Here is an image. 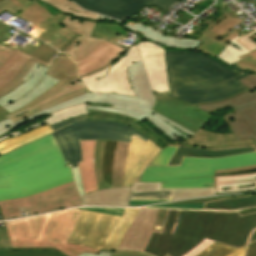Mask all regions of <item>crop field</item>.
Instances as JSON below:
<instances>
[{"instance_id": "8a807250", "label": "crop field", "mask_w": 256, "mask_h": 256, "mask_svg": "<svg viewBox=\"0 0 256 256\" xmlns=\"http://www.w3.org/2000/svg\"><path fill=\"white\" fill-rule=\"evenodd\" d=\"M153 111L194 132L185 142L172 143L208 149H226L253 145L256 148V93L247 89L228 98L189 105L163 94H156ZM230 106L232 111L223 118L234 134H216L200 130L210 118L207 112ZM191 143V144H190ZM256 169V165L216 171L226 174Z\"/></svg>"}, {"instance_id": "ac0d7876", "label": "crop field", "mask_w": 256, "mask_h": 256, "mask_svg": "<svg viewBox=\"0 0 256 256\" xmlns=\"http://www.w3.org/2000/svg\"><path fill=\"white\" fill-rule=\"evenodd\" d=\"M256 228V213L169 210L162 233L153 232L143 252L184 256L205 238L241 248Z\"/></svg>"}, {"instance_id": "34b2d1b8", "label": "crop field", "mask_w": 256, "mask_h": 256, "mask_svg": "<svg viewBox=\"0 0 256 256\" xmlns=\"http://www.w3.org/2000/svg\"><path fill=\"white\" fill-rule=\"evenodd\" d=\"M52 134L0 157V201L73 182Z\"/></svg>"}, {"instance_id": "412701ff", "label": "crop field", "mask_w": 256, "mask_h": 256, "mask_svg": "<svg viewBox=\"0 0 256 256\" xmlns=\"http://www.w3.org/2000/svg\"><path fill=\"white\" fill-rule=\"evenodd\" d=\"M168 96L189 104L231 96L246 88L236 81L251 74L200 53L166 49Z\"/></svg>"}, {"instance_id": "f4fd0767", "label": "crop field", "mask_w": 256, "mask_h": 256, "mask_svg": "<svg viewBox=\"0 0 256 256\" xmlns=\"http://www.w3.org/2000/svg\"><path fill=\"white\" fill-rule=\"evenodd\" d=\"M128 71L130 85L136 97L117 93H86L80 97L68 100L58 106L31 116L21 122L13 120L2 121L0 122V135L34 118L87 102H90V104L87 105L88 110L120 113L133 117L138 121L146 118L174 142L178 141L174 138V134L179 137L183 136L185 138L194 134L162 117L161 115L151 111L155 104V97L153 96V92L150 88L142 59L128 66Z\"/></svg>"}, {"instance_id": "dd49c442", "label": "crop field", "mask_w": 256, "mask_h": 256, "mask_svg": "<svg viewBox=\"0 0 256 256\" xmlns=\"http://www.w3.org/2000/svg\"><path fill=\"white\" fill-rule=\"evenodd\" d=\"M81 210L72 209L26 220L5 223L0 230V248L12 250L54 249L63 256L99 250L66 243Z\"/></svg>"}, {"instance_id": "e52e79f7", "label": "crop field", "mask_w": 256, "mask_h": 256, "mask_svg": "<svg viewBox=\"0 0 256 256\" xmlns=\"http://www.w3.org/2000/svg\"><path fill=\"white\" fill-rule=\"evenodd\" d=\"M256 164V152L220 159L183 158L178 167H146L141 182H162L167 188H213V170Z\"/></svg>"}, {"instance_id": "d8731c3e", "label": "crop field", "mask_w": 256, "mask_h": 256, "mask_svg": "<svg viewBox=\"0 0 256 256\" xmlns=\"http://www.w3.org/2000/svg\"><path fill=\"white\" fill-rule=\"evenodd\" d=\"M137 211L125 209L121 217L82 211L68 242L116 250Z\"/></svg>"}, {"instance_id": "5a996713", "label": "crop field", "mask_w": 256, "mask_h": 256, "mask_svg": "<svg viewBox=\"0 0 256 256\" xmlns=\"http://www.w3.org/2000/svg\"><path fill=\"white\" fill-rule=\"evenodd\" d=\"M47 74L61 81L38 96L32 103L5 116L7 119L21 121L49 107L87 92L76 75V64L62 54L51 65Z\"/></svg>"}, {"instance_id": "3316defc", "label": "crop field", "mask_w": 256, "mask_h": 256, "mask_svg": "<svg viewBox=\"0 0 256 256\" xmlns=\"http://www.w3.org/2000/svg\"><path fill=\"white\" fill-rule=\"evenodd\" d=\"M79 205L83 204L73 182L27 198L2 201L0 211L4 219H11L21 217L24 211L35 215Z\"/></svg>"}, {"instance_id": "28ad6ade", "label": "crop field", "mask_w": 256, "mask_h": 256, "mask_svg": "<svg viewBox=\"0 0 256 256\" xmlns=\"http://www.w3.org/2000/svg\"><path fill=\"white\" fill-rule=\"evenodd\" d=\"M138 59L140 56L133 45L106 69L80 80L89 92H117L135 96L129 85L127 66Z\"/></svg>"}, {"instance_id": "d1516ede", "label": "crop field", "mask_w": 256, "mask_h": 256, "mask_svg": "<svg viewBox=\"0 0 256 256\" xmlns=\"http://www.w3.org/2000/svg\"><path fill=\"white\" fill-rule=\"evenodd\" d=\"M84 9L94 11L123 22L133 16L144 6L156 5L161 10H166L177 0H73ZM127 8V9H125Z\"/></svg>"}, {"instance_id": "22f410ed", "label": "crop field", "mask_w": 256, "mask_h": 256, "mask_svg": "<svg viewBox=\"0 0 256 256\" xmlns=\"http://www.w3.org/2000/svg\"><path fill=\"white\" fill-rule=\"evenodd\" d=\"M18 16L31 21L34 25L52 32L61 23L68 30L89 37L96 21L80 20L70 15L57 13L51 15L39 4H34Z\"/></svg>"}, {"instance_id": "cbeb9de0", "label": "crop field", "mask_w": 256, "mask_h": 256, "mask_svg": "<svg viewBox=\"0 0 256 256\" xmlns=\"http://www.w3.org/2000/svg\"><path fill=\"white\" fill-rule=\"evenodd\" d=\"M79 140L110 139L130 143L132 135L144 142L147 139L133 128L110 121H81L71 124Z\"/></svg>"}, {"instance_id": "5142ce71", "label": "crop field", "mask_w": 256, "mask_h": 256, "mask_svg": "<svg viewBox=\"0 0 256 256\" xmlns=\"http://www.w3.org/2000/svg\"><path fill=\"white\" fill-rule=\"evenodd\" d=\"M136 46L143 58L152 90L158 93L169 91L165 71V48L146 40Z\"/></svg>"}, {"instance_id": "d9b57169", "label": "crop field", "mask_w": 256, "mask_h": 256, "mask_svg": "<svg viewBox=\"0 0 256 256\" xmlns=\"http://www.w3.org/2000/svg\"><path fill=\"white\" fill-rule=\"evenodd\" d=\"M158 209H140L118 250L142 251L152 233Z\"/></svg>"}, {"instance_id": "733c2abd", "label": "crop field", "mask_w": 256, "mask_h": 256, "mask_svg": "<svg viewBox=\"0 0 256 256\" xmlns=\"http://www.w3.org/2000/svg\"><path fill=\"white\" fill-rule=\"evenodd\" d=\"M160 150L150 141L144 143L133 137L127 159L123 186H131L133 181Z\"/></svg>"}, {"instance_id": "4a817a6b", "label": "crop field", "mask_w": 256, "mask_h": 256, "mask_svg": "<svg viewBox=\"0 0 256 256\" xmlns=\"http://www.w3.org/2000/svg\"><path fill=\"white\" fill-rule=\"evenodd\" d=\"M123 52L124 49L103 40L87 57L76 62L78 65L79 78L102 70L110 65Z\"/></svg>"}, {"instance_id": "bc2a9ffb", "label": "crop field", "mask_w": 256, "mask_h": 256, "mask_svg": "<svg viewBox=\"0 0 256 256\" xmlns=\"http://www.w3.org/2000/svg\"><path fill=\"white\" fill-rule=\"evenodd\" d=\"M247 18H245V19H247ZM244 20L241 21L231 14L225 20H223L220 24L213 27L210 31H208L203 36H200L198 38V40H203L204 42L200 45V47L196 50V52L203 53L212 58L217 57L219 55V53L228 44L219 42L216 39L219 38L220 36H222L223 34H225L226 32L230 31L233 27L239 25Z\"/></svg>"}, {"instance_id": "214f88e0", "label": "crop field", "mask_w": 256, "mask_h": 256, "mask_svg": "<svg viewBox=\"0 0 256 256\" xmlns=\"http://www.w3.org/2000/svg\"><path fill=\"white\" fill-rule=\"evenodd\" d=\"M176 146V145H169ZM253 146L249 147H239L227 150L213 151L208 149L190 147V146H178L173 153L167 166H177L180 165L182 157H198V158H220L233 156L238 154H244L249 152H255Z\"/></svg>"}, {"instance_id": "92a150f3", "label": "crop field", "mask_w": 256, "mask_h": 256, "mask_svg": "<svg viewBox=\"0 0 256 256\" xmlns=\"http://www.w3.org/2000/svg\"><path fill=\"white\" fill-rule=\"evenodd\" d=\"M126 23L136 28L137 29L136 33L142 34L143 39H147L149 41L162 44L165 48L180 49V50L195 52L198 46L203 42V41L191 40L186 38H184L183 41H181L176 38L161 34L160 32L152 28H149L148 26L145 27L130 19ZM145 28H147V30H145Z\"/></svg>"}, {"instance_id": "dafd665d", "label": "crop field", "mask_w": 256, "mask_h": 256, "mask_svg": "<svg viewBox=\"0 0 256 256\" xmlns=\"http://www.w3.org/2000/svg\"><path fill=\"white\" fill-rule=\"evenodd\" d=\"M65 161L71 162L75 177H80L77 162H81L79 141L71 125L53 133Z\"/></svg>"}, {"instance_id": "00972430", "label": "crop field", "mask_w": 256, "mask_h": 256, "mask_svg": "<svg viewBox=\"0 0 256 256\" xmlns=\"http://www.w3.org/2000/svg\"><path fill=\"white\" fill-rule=\"evenodd\" d=\"M135 31L134 28L119 22L117 20L101 16L97 21L94 31L91 35L93 38L105 39L113 44H115L119 39H128V32ZM118 45V44H116ZM124 49L121 45H118Z\"/></svg>"}, {"instance_id": "a9b5d70f", "label": "crop field", "mask_w": 256, "mask_h": 256, "mask_svg": "<svg viewBox=\"0 0 256 256\" xmlns=\"http://www.w3.org/2000/svg\"><path fill=\"white\" fill-rule=\"evenodd\" d=\"M215 185L217 194L254 190L256 188V173L216 177Z\"/></svg>"}, {"instance_id": "4177f3b9", "label": "crop field", "mask_w": 256, "mask_h": 256, "mask_svg": "<svg viewBox=\"0 0 256 256\" xmlns=\"http://www.w3.org/2000/svg\"><path fill=\"white\" fill-rule=\"evenodd\" d=\"M80 145L82 151V163L78 164L84 192L86 194L88 192L98 190L93 164L95 141H80Z\"/></svg>"}, {"instance_id": "730fd06b", "label": "crop field", "mask_w": 256, "mask_h": 256, "mask_svg": "<svg viewBox=\"0 0 256 256\" xmlns=\"http://www.w3.org/2000/svg\"><path fill=\"white\" fill-rule=\"evenodd\" d=\"M130 188H115L82 196L85 205H127Z\"/></svg>"}, {"instance_id": "eef30255", "label": "crop field", "mask_w": 256, "mask_h": 256, "mask_svg": "<svg viewBox=\"0 0 256 256\" xmlns=\"http://www.w3.org/2000/svg\"><path fill=\"white\" fill-rule=\"evenodd\" d=\"M156 191H171L172 200L216 195L214 189H168L161 190V183L135 182L131 194Z\"/></svg>"}, {"instance_id": "ae1a2a85", "label": "crop field", "mask_w": 256, "mask_h": 256, "mask_svg": "<svg viewBox=\"0 0 256 256\" xmlns=\"http://www.w3.org/2000/svg\"><path fill=\"white\" fill-rule=\"evenodd\" d=\"M48 68L43 67L39 64L34 63L23 80L26 82L22 83L17 89L8 93L4 97L0 98V105L3 107L6 104L20 98L22 95L31 90L46 74Z\"/></svg>"}, {"instance_id": "d3111659", "label": "crop field", "mask_w": 256, "mask_h": 256, "mask_svg": "<svg viewBox=\"0 0 256 256\" xmlns=\"http://www.w3.org/2000/svg\"><path fill=\"white\" fill-rule=\"evenodd\" d=\"M16 48L46 63H48L53 53H55L56 51L44 43L37 48L29 44L21 48L17 45L14 47L0 40V67L16 51Z\"/></svg>"}, {"instance_id": "750c4746", "label": "crop field", "mask_w": 256, "mask_h": 256, "mask_svg": "<svg viewBox=\"0 0 256 256\" xmlns=\"http://www.w3.org/2000/svg\"><path fill=\"white\" fill-rule=\"evenodd\" d=\"M51 115L52 116L50 118H48L44 121L32 124V125H29V126L23 128V129L15 132V133H6V134L0 136V141L3 140V139L9 138L11 136H13V138H14V137L26 132V131H29L33 128L39 127V126L44 125L46 123L50 126L54 123H59L63 120H66V119H69V118H72V117H75V116H78V115H88V113H87L86 104H84V105L68 108V109L53 113Z\"/></svg>"}, {"instance_id": "bd1437ed", "label": "crop field", "mask_w": 256, "mask_h": 256, "mask_svg": "<svg viewBox=\"0 0 256 256\" xmlns=\"http://www.w3.org/2000/svg\"><path fill=\"white\" fill-rule=\"evenodd\" d=\"M80 39L81 36L68 31L60 25L44 42L68 55L77 46Z\"/></svg>"}, {"instance_id": "1d83c4d3", "label": "crop field", "mask_w": 256, "mask_h": 256, "mask_svg": "<svg viewBox=\"0 0 256 256\" xmlns=\"http://www.w3.org/2000/svg\"><path fill=\"white\" fill-rule=\"evenodd\" d=\"M30 59L36 60L49 66V64H46L17 50L0 68V88L11 81Z\"/></svg>"}, {"instance_id": "120bbe31", "label": "crop field", "mask_w": 256, "mask_h": 256, "mask_svg": "<svg viewBox=\"0 0 256 256\" xmlns=\"http://www.w3.org/2000/svg\"><path fill=\"white\" fill-rule=\"evenodd\" d=\"M53 132V130L46 124L39 128L33 129L15 139L12 137L0 142V153L4 154L11 150H14L20 146H23L35 139L44 137L45 135Z\"/></svg>"}, {"instance_id": "d32e631a", "label": "crop field", "mask_w": 256, "mask_h": 256, "mask_svg": "<svg viewBox=\"0 0 256 256\" xmlns=\"http://www.w3.org/2000/svg\"><path fill=\"white\" fill-rule=\"evenodd\" d=\"M249 207H256V194L222 199L204 204L205 209L213 210H237Z\"/></svg>"}, {"instance_id": "5866460e", "label": "crop field", "mask_w": 256, "mask_h": 256, "mask_svg": "<svg viewBox=\"0 0 256 256\" xmlns=\"http://www.w3.org/2000/svg\"><path fill=\"white\" fill-rule=\"evenodd\" d=\"M130 144L118 142L113 163L112 187L122 186L124 169Z\"/></svg>"}, {"instance_id": "028f5c9d", "label": "crop field", "mask_w": 256, "mask_h": 256, "mask_svg": "<svg viewBox=\"0 0 256 256\" xmlns=\"http://www.w3.org/2000/svg\"><path fill=\"white\" fill-rule=\"evenodd\" d=\"M52 7L56 8L60 12L68 13L74 17L80 19L98 20L100 15L86 12L72 3L70 0H41Z\"/></svg>"}, {"instance_id": "e1f06a70", "label": "crop field", "mask_w": 256, "mask_h": 256, "mask_svg": "<svg viewBox=\"0 0 256 256\" xmlns=\"http://www.w3.org/2000/svg\"><path fill=\"white\" fill-rule=\"evenodd\" d=\"M57 82H59V80L54 79V78L46 75L44 80L32 92L27 94L22 99L16 101L15 103L5 107L4 109L7 110L10 113L14 110H17V109L23 107L27 103L33 101L38 95H40L41 93L48 90L50 87H52Z\"/></svg>"}, {"instance_id": "0bd39190", "label": "crop field", "mask_w": 256, "mask_h": 256, "mask_svg": "<svg viewBox=\"0 0 256 256\" xmlns=\"http://www.w3.org/2000/svg\"><path fill=\"white\" fill-rule=\"evenodd\" d=\"M244 36L243 34L228 41L230 45H228L221 53L220 55L216 58V60L227 64L228 66H231L241 58L239 57L240 55H244L247 52H249L246 48H244L242 45H240L238 42L235 40ZM241 49V51H240Z\"/></svg>"}, {"instance_id": "b80d0937", "label": "crop field", "mask_w": 256, "mask_h": 256, "mask_svg": "<svg viewBox=\"0 0 256 256\" xmlns=\"http://www.w3.org/2000/svg\"><path fill=\"white\" fill-rule=\"evenodd\" d=\"M115 141H106L104 159H103V182L104 187H111V172H112V162H113V154L116 146Z\"/></svg>"}, {"instance_id": "c035e120", "label": "crop field", "mask_w": 256, "mask_h": 256, "mask_svg": "<svg viewBox=\"0 0 256 256\" xmlns=\"http://www.w3.org/2000/svg\"><path fill=\"white\" fill-rule=\"evenodd\" d=\"M245 248L240 250L214 242L196 256H244Z\"/></svg>"}, {"instance_id": "c21b1889", "label": "crop field", "mask_w": 256, "mask_h": 256, "mask_svg": "<svg viewBox=\"0 0 256 256\" xmlns=\"http://www.w3.org/2000/svg\"><path fill=\"white\" fill-rule=\"evenodd\" d=\"M102 40L83 37L78 46L69 55L75 62L88 55Z\"/></svg>"}, {"instance_id": "03da06ac", "label": "crop field", "mask_w": 256, "mask_h": 256, "mask_svg": "<svg viewBox=\"0 0 256 256\" xmlns=\"http://www.w3.org/2000/svg\"><path fill=\"white\" fill-rule=\"evenodd\" d=\"M106 140L96 141L95 147V167H96V175H97V183L98 189H104L102 182V159H103V151Z\"/></svg>"}, {"instance_id": "b54c1fbb", "label": "crop field", "mask_w": 256, "mask_h": 256, "mask_svg": "<svg viewBox=\"0 0 256 256\" xmlns=\"http://www.w3.org/2000/svg\"><path fill=\"white\" fill-rule=\"evenodd\" d=\"M0 256H62L54 250L12 251L0 249Z\"/></svg>"}, {"instance_id": "5d738f31", "label": "crop field", "mask_w": 256, "mask_h": 256, "mask_svg": "<svg viewBox=\"0 0 256 256\" xmlns=\"http://www.w3.org/2000/svg\"><path fill=\"white\" fill-rule=\"evenodd\" d=\"M34 62H36V61L30 60L28 62V64L25 67L22 68L21 72L19 74H17L16 77L0 90V97L4 96L8 92L12 91L16 87H18L22 82H24L21 79L23 78V76L26 74V72L29 70V68L32 66V64ZM36 63H38V62H36Z\"/></svg>"}, {"instance_id": "d23c7cc5", "label": "crop field", "mask_w": 256, "mask_h": 256, "mask_svg": "<svg viewBox=\"0 0 256 256\" xmlns=\"http://www.w3.org/2000/svg\"><path fill=\"white\" fill-rule=\"evenodd\" d=\"M241 60L233 66H237L243 70H249L256 73V50L241 56Z\"/></svg>"}, {"instance_id": "425ffa30", "label": "crop field", "mask_w": 256, "mask_h": 256, "mask_svg": "<svg viewBox=\"0 0 256 256\" xmlns=\"http://www.w3.org/2000/svg\"><path fill=\"white\" fill-rule=\"evenodd\" d=\"M130 200H171L170 192H156L131 195Z\"/></svg>"}, {"instance_id": "25e5ab78", "label": "crop field", "mask_w": 256, "mask_h": 256, "mask_svg": "<svg viewBox=\"0 0 256 256\" xmlns=\"http://www.w3.org/2000/svg\"><path fill=\"white\" fill-rule=\"evenodd\" d=\"M175 149L176 147H166L157 154L149 165H166Z\"/></svg>"}, {"instance_id": "73cf0c24", "label": "crop field", "mask_w": 256, "mask_h": 256, "mask_svg": "<svg viewBox=\"0 0 256 256\" xmlns=\"http://www.w3.org/2000/svg\"><path fill=\"white\" fill-rule=\"evenodd\" d=\"M239 84L243 85L250 91L256 92V74L253 73L239 81H237Z\"/></svg>"}, {"instance_id": "89e229c0", "label": "crop field", "mask_w": 256, "mask_h": 256, "mask_svg": "<svg viewBox=\"0 0 256 256\" xmlns=\"http://www.w3.org/2000/svg\"><path fill=\"white\" fill-rule=\"evenodd\" d=\"M156 208H180V209H203V204H162L153 206Z\"/></svg>"}, {"instance_id": "1f2cbd36", "label": "crop field", "mask_w": 256, "mask_h": 256, "mask_svg": "<svg viewBox=\"0 0 256 256\" xmlns=\"http://www.w3.org/2000/svg\"><path fill=\"white\" fill-rule=\"evenodd\" d=\"M4 10H6L14 15L22 11L20 8H18L15 4L10 2L9 0L0 1V14Z\"/></svg>"}, {"instance_id": "dbb93151", "label": "crop field", "mask_w": 256, "mask_h": 256, "mask_svg": "<svg viewBox=\"0 0 256 256\" xmlns=\"http://www.w3.org/2000/svg\"><path fill=\"white\" fill-rule=\"evenodd\" d=\"M256 34V29L253 30L252 32L248 33L247 35H245L244 37L236 40L239 43H241L243 46H245L247 49H249L250 51L256 49V43H254L249 37Z\"/></svg>"}, {"instance_id": "0fb4a251", "label": "crop field", "mask_w": 256, "mask_h": 256, "mask_svg": "<svg viewBox=\"0 0 256 256\" xmlns=\"http://www.w3.org/2000/svg\"><path fill=\"white\" fill-rule=\"evenodd\" d=\"M79 209L100 212V213H107V214L117 215V216H121L122 212L124 211V209H114V208H79Z\"/></svg>"}, {"instance_id": "1d79db26", "label": "crop field", "mask_w": 256, "mask_h": 256, "mask_svg": "<svg viewBox=\"0 0 256 256\" xmlns=\"http://www.w3.org/2000/svg\"><path fill=\"white\" fill-rule=\"evenodd\" d=\"M81 120H89L88 116H79V117H75V118H72V119H69V120H66V121H63L59 124H55L53 126H51V128L56 131L58 130L59 128L65 126V125H68L72 122H76V121H81Z\"/></svg>"}, {"instance_id": "9d1cf04e", "label": "crop field", "mask_w": 256, "mask_h": 256, "mask_svg": "<svg viewBox=\"0 0 256 256\" xmlns=\"http://www.w3.org/2000/svg\"><path fill=\"white\" fill-rule=\"evenodd\" d=\"M10 29H11L10 26L0 23V39L1 40L7 41L11 38L13 34L8 32Z\"/></svg>"}, {"instance_id": "447ae74e", "label": "crop field", "mask_w": 256, "mask_h": 256, "mask_svg": "<svg viewBox=\"0 0 256 256\" xmlns=\"http://www.w3.org/2000/svg\"><path fill=\"white\" fill-rule=\"evenodd\" d=\"M111 256H152V255L145 254L142 252L112 251Z\"/></svg>"}, {"instance_id": "0765c3eb", "label": "crop field", "mask_w": 256, "mask_h": 256, "mask_svg": "<svg viewBox=\"0 0 256 256\" xmlns=\"http://www.w3.org/2000/svg\"><path fill=\"white\" fill-rule=\"evenodd\" d=\"M213 241L205 239L198 247H196L193 251H191L186 256H195L199 252H201L203 249H205L207 246H209Z\"/></svg>"}, {"instance_id": "db79e9e6", "label": "crop field", "mask_w": 256, "mask_h": 256, "mask_svg": "<svg viewBox=\"0 0 256 256\" xmlns=\"http://www.w3.org/2000/svg\"><path fill=\"white\" fill-rule=\"evenodd\" d=\"M31 28L37 30L32 36L33 37H36V38H39L41 40H45L47 38V36L50 34V32H47L45 30H42L34 25L31 26Z\"/></svg>"}, {"instance_id": "7b73153f", "label": "crop field", "mask_w": 256, "mask_h": 256, "mask_svg": "<svg viewBox=\"0 0 256 256\" xmlns=\"http://www.w3.org/2000/svg\"><path fill=\"white\" fill-rule=\"evenodd\" d=\"M166 201H130L129 206H142Z\"/></svg>"}, {"instance_id": "78b8030e", "label": "crop field", "mask_w": 256, "mask_h": 256, "mask_svg": "<svg viewBox=\"0 0 256 256\" xmlns=\"http://www.w3.org/2000/svg\"><path fill=\"white\" fill-rule=\"evenodd\" d=\"M246 256H256V242L249 244Z\"/></svg>"}, {"instance_id": "0f1d7ab4", "label": "crop field", "mask_w": 256, "mask_h": 256, "mask_svg": "<svg viewBox=\"0 0 256 256\" xmlns=\"http://www.w3.org/2000/svg\"><path fill=\"white\" fill-rule=\"evenodd\" d=\"M140 124L145 127L147 130H149L152 134H154L157 138H159L163 143H165L166 145L170 144L169 142H167L165 139H163L161 136H159L156 132H154L150 127H148L143 121L140 122ZM164 144V145H165Z\"/></svg>"}, {"instance_id": "e1d0b9f6", "label": "crop field", "mask_w": 256, "mask_h": 256, "mask_svg": "<svg viewBox=\"0 0 256 256\" xmlns=\"http://www.w3.org/2000/svg\"><path fill=\"white\" fill-rule=\"evenodd\" d=\"M218 198H211V199H201V200H189V201H180L176 203H204L212 200H217Z\"/></svg>"}, {"instance_id": "ae633e8c", "label": "crop field", "mask_w": 256, "mask_h": 256, "mask_svg": "<svg viewBox=\"0 0 256 256\" xmlns=\"http://www.w3.org/2000/svg\"><path fill=\"white\" fill-rule=\"evenodd\" d=\"M79 256H110V253L99 251L97 254L83 253Z\"/></svg>"}, {"instance_id": "d14b1444", "label": "crop field", "mask_w": 256, "mask_h": 256, "mask_svg": "<svg viewBox=\"0 0 256 256\" xmlns=\"http://www.w3.org/2000/svg\"><path fill=\"white\" fill-rule=\"evenodd\" d=\"M75 182H76V185H77V188H78L80 194L83 195L84 192H83V187H82L81 179L80 178H75Z\"/></svg>"}, {"instance_id": "c39391a2", "label": "crop field", "mask_w": 256, "mask_h": 256, "mask_svg": "<svg viewBox=\"0 0 256 256\" xmlns=\"http://www.w3.org/2000/svg\"><path fill=\"white\" fill-rule=\"evenodd\" d=\"M9 114L8 112H6L1 106H0V121L2 120H6V118H4L3 116Z\"/></svg>"}, {"instance_id": "ade564c9", "label": "crop field", "mask_w": 256, "mask_h": 256, "mask_svg": "<svg viewBox=\"0 0 256 256\" xmlns=\"http://www.w3.org/2000/svg\"><path fill=\"white\" fill-rule=\"evenodd\" d=\"M13 3H15L18 7H20L22 10H24L26 8V6L22 5L21 2L19 0H10ZM27 1V0H24Z\"/></svg>"}, {"instance_id": "c5b07064", "label": "crop field", "mask_w": 256, "mask_h": 256, "mask_svg": "<svg viewBox=\"0 0 256 256\" xmlns=\"http://www.w3.org/2000/svg\"><path fill=\"white\" fill-rule=\"evenodd\" d=\"M253 241H256V230L254 231V233H253V235H252V237H251L249 243H250V242H253Z\"/></svg>"}, {"instance_id": "c3a83c6f", "label": "crop field", "mask_w": 256, "mask_h": 256, "mask_svg": "<svg viewBox=\"0 0 256 256\" xmlns=\"http://www.w3.org/2000/svg\"><path fill=\"white\" fill-rule=\"evenodd\" d=\"M33 41H35V42H37L36 44H35V46L37 47V46H39L42 42H39V41H37V40H35V39H33ZM30 44V43H29Z\"/></svg>"}, {"instance_id": "fb207236", "label": "crop field", "mask_w": 256, "mask_h": 256, "mask_svg": "<svg viewBox=\"0 0 256 256\" xmlns=\"http://www.w3.org/2000/svg\"><path fill=\"white\" fill-rule=\"evenodd\" d=\"M56 58L52 57V59L49 61V64H52L55 61Z\"/></svg>"}, {"instance_id": "7312dd0a", "label": "crop field", "mask_w": 256, "mask_h": 256, "mask_svg": "<svg viewBox=\"0 0 256 256\" xmlns=\"http://www.w3.org/2000/svg\"><path fill=\"white\" fill-rule=\"evenodd\" d=\"M44 77H45V76H44ZM44 77H43V78H44ZM43 78H42V80H43ZM42 80H41V81H42ZM41 81H40V82H41ZM40 82H39V83H40ZM39 83H38V84H39ZM38 84H37V85H38ZM37 85H36V86H37ZM36 86H35V87H36ZM35 87H34V88H35ZM34 88H33V89H34ZM33 89H32V90H33ZM32 90H31V91H32ZM29 92H30V91H29ZM29 92H28V93H29ZM25 95H26V94H25ZM22 97H23V96H22ZM22 97H21V98H22Z\"/></svg>"}]
</instances>
